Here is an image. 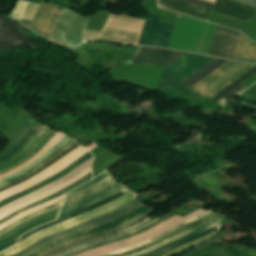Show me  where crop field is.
<instances>
[{"instance_id": "crop-field-1", "label": "crop field", "mask_w": 256, "mask_h": 256, "mask_svg": "<svg viewBox=\"0 0 256 256\" xmlns=\"http://www.w3.org/2000/svg\"><path fill=\"white\" fill-rule=\"evenodd\" d=\"M144 22L143 20L111 14L102 32L85 31L84 42L106 40L138 45Z\"/></svg>"}, {"instance_id": "crop-field-2", "label": "crop field", "mask_w": 256, "mask_h": 256, "mask_svg": "<svg viewBox=\"0 0 256 256\" xmlns=\"http://www.w3.org/2000/svg\"><path fill=\"white\" fill-rule=\"evenodd\" d=\"M254 66L255 64L229 60L190 90L210 99Z\"/></svg>"}, {"instance_id": "crop-field-3", "label": "crop field", "mask_w": 256, "mask_h": 256, "mask_svg": "<svg viewBox=\"0 0 256 256\" xmlns=\"http://www.w3.org/2000/svg\"><path fill=\"white\" fill-rule=\"evenodd\" d=\"M136 194H133V193H128L120 198H118L117 200L99 208V209H96L94 211H91V212H88L78 218H75L73 220H70V221H67V222H64L62 224H59V225H56V226H53V227H50V228H47L41 232H39L38 234L24 240L23 242L3 251L0 253V256H11L17 252H19L20 250L24 249L25 247L41 240L42 238L50 235V234H53L55 232H58V231H61V230H64L68 227H71L73 225H76V224H79L81 222H84V221H87V220H90L92 218H95L97 216H100V215H103V214H106L114 209H117L121 206H123V204L133 200L136 198Z\"/></svg>"}, {"instance_id": "crop-field-4", "label": "crop field", "mask_w": 256, "mask_h": 256, "mask_svg": "<svg viewBox=\"0 0 256 256\" xmlns=\"http://www.w3.org/2000/svg\"><path fill=\"white\" fill-rule=\"evenodd\" d=\"M142 207V205L138 202V200H134L132 202H130L129 204H126L124 207H121L117 210H114L106 215L97 217L95 219H92L88 222L85 223H81L79 225L73 226L71 228H68L60 233L57 234H53L39 242H37L36 244L20 251L18 254L14 255V256H28L32 253H34L35 251H37L38 249L46 246L49 243H52L56 240L65 238L67 236H70L74 233H78L80 231L89 229V228H93V227H97L100 226L102 224H105L109 221L115 220V219H119L127 214H129L130 212L138 209Z\"/></svg>"}, {"instance_id": "crop-field-5", "label": "crop field", "mask_w": 256, "mask_h": 256, "mask_svg": "<svg viewBox=\"0 0 256 256\" xmlns=\"http://www.w3.org/2000/svg\"><path fill=\"white\" fill-rule=\"evenodd\" d=\"M92 160H93V158L90 159L88 162H86L81 167L74 170L68 176L62 178L61 180L56 181V182L50 184L49 186H47L35 193L23 198V199L17 200L15 202L11 203L10 205L0 209V219L18 209H20V208L26 207L42 198H45L61 189L73 184L74 182L80 180L85 175H87L89 172H91Z\"/></svg>"}, {"instance_id": "crop-field-6", "label": "crop field", "mask_w": 256, "mask_h": 256, "mask_svg": "<svg viewBox=\"0 0 256 256\" xmlns=\"http://www.w3.org/2000/svg\"><path fill=\"white\" fill-rule=\"evenodd\" d=\"M87 19L88 18L79 16L66 9L52 36V39H55L73 46L81 43L82 36H83V29L85 27ZM52 39L51 41L53 42L59 43L69 48H74L70 45H67Z\"/></svg>"}, {"instance_id": "crop-field-7", "label": "crop field", "mask_w": 256, "mask_h": 256, "mask_svg": "<svg viewBox=\"0 0 256 256\" xmlns=\"http://www.w3.org/2000/svg\"><path fill=\"white\" fill-rule=\"evenodd\" d=\"M206 210H203V209H200L184 218L180 217L179 215L162 223L161 225L155 227L154 229L146 232V233H143L135 238H132V239H129V240H126V241H122V242H119V243H115V244H112V245H108V246H105V247H101V248H98V249H95V250H92V251H89V252H86V253H83V254H80V255H77V256H101V255H104V254H107V253H110L112 251H116V250H122V249H125L129 246H133L135 244H138V243H141V242H144L160 233H162L163 231L169 229V228H172L178 224H181L203 212H205Z\"/></svg>"}, {"instance_id": "crop-field-8", "label": "crop field", "mask_w": 256, "mask_h": 256, "mask_svg": "<svg viewBox=\"0 0 256 256\" xmlns=\"http://www.w3.org/2000/svg\"><path fill=\"white\" fill-rule=\"evenodd\" d=\"M88 151L89 150H87V149H85L81 146L78 147L76 150H74L68 156H66L65 158H63L62 160H60L59 162H57L53 166L47 168L46 170H44L43 172H41L37 176L33 177L29 181L0 193V201L3 200V199L8 198L10 196H13L15 194H18V193L36 185V184H38L39 182L43 181L44 179H46V178H48V177H50L54 174L59 173L65 167H67L68 165H70L71 163L76 161L78 158H80L81 156L86 154Z\"/></svg>"}, {"instance_id": "crop-field-9", "label": "crop field", "mask_w": 256, "mask_h": 256, "mask_svg": "<svg viewBox=\"0 0 256 256\" xmlns=\"http://www.w3.org/2000/svg\"><path fill=\"white\" fill-rule=\"evenodd\" d=\"M64 8L42 1L29 28L50 39Z\"/></svg>"}, {"instance_id": "crop-field-10", "label": "crop field", "mask_w": 256, "mask_h": 256, "mask_svg": "<svg viewBox=\"0 0 256 256\" xmlns=\"http://www.w3.org/2000/svg\"><path fill=\"white\" fill-rule=\"evenodd\" d=\"M173 27L172 25L159 23V17L150 14L145 22L139 45L167 48Z\"/></svg>"}, {"instance_id": "crop-field-11", "label": "crop field", "mask_w": 256, "mask_h": 256, "mask_svg": "<svg viewBox=\"0 0 256 256\" xmlns=\"http://www.w3.org/2000/svg\"><path fill=\"white\" fill-rule=\"evenodd\" d=\"M241 33L217 27L209 55L233 59Z\"/></svg>"}, {"instance_id": "crop-field-12", "label": "crop field", "mask_w": 256, "mask_h": 256, "mask_svg": "<svg viewBox=\"0 0 256 256\" xmlns=\"http://www.w3.org/2000/svg\"><path fill=\"white\" fill-rule=\"evenodd\" d=\"M185 54V52L140 47L135 60L132 62L169 67Z\"/></svg>"}, {"instance_id": "crop-field-13", "label": "crop field", "mask_w": 256, "mask_h": 256, "mask_svg": "<svg viewBox=\"0 0 256 256\" xmlns=\"http://www.w3.org/2000/svg\"><path fill=\"white\" fill-rule=\"evenodd\" d=\"M212 59L213 57L188 53L165 71L180 83Z\"/></svg>"}, {"instance_id": "crop-field-14", "label": "crop field", "mask_w": 256, "mask_h": 256, "mask_svg": "<svg viewBox=\"0 0 256 256\" xmlns=\"http://www.w3.org/2000/svg\"><path fill=\"white\" fill-rule=\"evenodd\" d=\"M151 209H146V208H141L129 215H127L126 217L122 218V219H119V220H116V221H112V222H109L105 225H102L98 228H93V229H89L85 232H82V233H78V234H75L73 236H70L66 239H63L61 241H58V242H55V243H52L44 248H42L41 250H39L38 252L32 254L31 256H41L42 254L60 246V245H63L65 243H68V242H71V241H74V240H77V239H80V238H83V237H86V236H89V235H92V234H95V233H98V232H101V231H104V230H108V229H111V228H115V227H118L122 224H125L137 217H139L140 215L150 211Z\"/></svg>"}, {"instance_id": "crop-field-15", "label": "crop field", "mask_w": 256, "mask_h": 256, "mask_svg": "<svg viewBox=\"0 0 256 256\" xmlns=\"http://www.w3.org/2000/svg\"><path fill=\"white\" fill-rule=\"evenodd\" d=\"M186 1H190L193 3H197L200 5H204L207 7H213V3H209L203 0H186ZM183 0H159V6L163 7V8H167L173 11H177L183 14H187L190 16H194L200 19H204L206 20L211 8H207L204 6H200L197 4H193L190 2H186Z\"/></svg>"}, {"instance_id": "crop-field-16", "label": "crop field", "mask_w": 256, "mask_h": 256, "mask_svg": "<svg viewBox=\"0 0 256 256\" xmlns=\"http://www.w3.org/2000/svg\"><path fill=\"white\" fill-rule=\"evenodd\" d=\"M155 211H150L142 216H140L139 218L125 224V225H122L118 228H115V229H111V230H108V231H105V232H101V233H98V234H95V235H92V236H89V237H86V238H83V239H80V240H77V241H74V242H71V243H68L66 245H63V246H60L48 253H46L45 255L43 256H53L57 253H60V252H64L66 250H69L73 247H76L78 245H81L83 243H86V242H91L93 240H96V239H99V238H103V237H106V236H109V235H113V234H116V233H120V232H123L125 230H128L134 226H137L147 220H149L150 218L147 216L151 213H153Z\"/></svg>"}, {"instance_id": "crop-field-17", "label": "crop field", "mask_w": 256, "mask_h": 256, "mask_svg": "<svg viewBox=\"0 0 256 256\" xmlns=\"http://www.w3.org/2000/svg\"><path fill=\"white\" fill-rule=\"evenodd\" d=\"M50 132L51 130L40 125V127L36 130V132L31 136V138L18 153H16L14 156L7 159L6 161L0 163V171L17 164L24 157L28 156L48 136Z\"/></svg>"}, {"instance_id": "crop-field-18", "label": "crop field", "mask_w": 256, "mask_h": 256, "mask_svg": "<svg viewBox=\"0 0 256 256\" xmlns=\"http://www.w3.org/2000/svg\"><path fill=\"white\" fill-rule=\"evenodd\" d=\"M256 9L229 0H217L213 11L250 22Z\"/></svg>"}, {"instance_id": "crop-field-19", "label": "crop field", "mask_w": 256, "mask_h": 256, "mask_svg": "<svg viewBox=\"0 0 256 256\" xmlns=\"http://www.w3.org/2000/svg\"><path fill=\"white\" fill-rule=\"evenodd\" d=\"M92 157H93V156H92L91 152L87 153L85 156H83L81 159H79V160H78L77 162H75L74 164L68 166L66 169H64L63 171H61L59 174L54 175V176H52V177H50V178L44 180V181L41 182L40 184L36 185L35 187H33V188H31V189H29V190L23 192V193H20V194H18V195H15V196H13V197H11V198H9V199H6V200L0 202V208L4 207L5 205H7V204H9V203H11V202H13V201L16 200V199H19V198H22V197H24V196H26V195H29V194H31V193H33V192H35V191H37V190H39V189H41V188L47 186V185H49L50 183H52V182H54V181H56V180H58V179H60V178H62V177H64V176L68 175V174H69L70 172H72L75 168H77L78 166L84 164L88 159H90V158H92Z\"/></svg>"}, {"instance_id": "crop-field-20", "label": "crop field", "mask_w": 256, "mask_h": 256, "mask_svg": "<svg viewBox=\"0 0 256 256\" xmlns=\"http://www.w3.org/2000/svg\"><path fill=\"white\" fill-rule=\"evenodd\" d=\"M126 188H124L122 185L120 184H115L111 187H109L108 189H106L105 191H103L102 193L88 199V200H84L76 205H73L69 208H66L64 210H62V212L60 213L59 215V218H62V217H65V216H68L70 214H73V213H76L78 211H81L83 209H86L98 202H101L109 197H111L112 195L124 190Z\"/></svg>"}, {"instance_id": "crop-field-21", "label": "crop field", "mask_w": 256, "mask_h": 256, "mask_svg": "<svg viewBox=\"0 0 256 256\" xmlns=\"http://www.w3.org/2000/svg\"><path fill=\"white\" fill-rule=\"evenodd\" d=\"M256 74V66L251 69L249 72L244 74L242 77H240L238 80H236L234 83L229 85L227 88H225L223 91L218 93L216 96H214L211 100L223 105L227 103L228 101L235 98L237 95H239L241 92H243L245 87L241 86L240 84L246 81L248 78Z\"/></svg>"}, {"instance_id": "crop-field-22", "label": "crop field", "mask_w": 256, "mask_h": 256, "mask_svg": "<svg viewBox=\"0 0 256 256\" xmlns=\"http://www.w3.org/2000/svg\"><path fill=\"white\" fill-rule=\"evenodd\" d=\"M221 221H222V217L217 219V220H215V221H213V222H211V223H208V224H206V225H204V226H202V227H200V228H198L196 230H193L191 232L183 234V235H181V236H179V237H177V238H175V239H173V240L163 244L162 246H160V247H158V248H156L154 250H151L149 252H146V253L138 255V256H152V255H155V254H157V253H159V252H161V251H163V250H165V249H167V248H169V247H171V246H173V245H175V244H177L179 242H182V241H184V240H186L188 238H191V237H193L195 235H198L200 233H203L205 231H208L210 229H213L215 227L220 226L221 225Z\"/></svg>"}, {"instance_id": "crop-field-23", "label": "crop field", "mask_w": 256, "mask_h": 256, "mask_svg": "<svg viewBox=\"0 0 256 256\" xmlns=\"http://www.w3.org/2000/svg\"><path fill=\"white\" fill-rule=\"evenodd\" d=\"M59 211L57 212H54V213H51L49 215H46L34 222H31L25 226H23L22 228H20L18 231L14 232L13 234L11 235H7L8 237L0 240V247L20 238L21 236H23L25 233H27L28 231L40 226V225H43L45 223H48L50 221H53V220H56L57 218V214H58Z\"/></svg>"}, {"instance_id": "crop-field-24", "label": "crop field", "mask_w": 256, "mask_h": 256, "mask_svg": "<svg viewBox=\"0 0 256 256\" xmlns=\"http://www.w3.org/2000/svg\"><path fill=\"white\" fill-rule=\"evenodd\" d=\"M226 61V59L215 58L180 84L189 89Z\"/></svg>"}, {"instance_id": "crop-field-25", "label": "crop field", "mask_w": 256, "mask_h": 256, "mask_svg": "<svg viewBox=\"0 0 256 256\" xmlns=\"http://www.w3.org/2000/svg\"><path fill=\"white\" fill-rule=\"evenodd\" d=\"M234 59L256 63V42L241 35Z\"/></svg>"}, {"instance_id": "crop-field-26", "label": "crop field", "mask_w": 256, "mask_h": 256, "mask_svg": "<svg viewBox=\"0 0 256 256\" xmlns=\"http://www.w3.org/2000/svg\"><path fill=\"white\" fill-rule=\"evenodd\" d=\"M91 178H92V173H89L87 176H85L83 179H81L80 181L76 182L75 184H73V185H71V186H69V187H67V188H65V189H63V190L57 192L56 194H54V195H52V196H50V197H47V198H45V199H43V200H41V201H39V202H37V203H35V204H33V205H30V206H28V207H26V208H23V209H21V210H18V211H16V212H14L13 214H11L9 217H7V218H5V219H3V220H0V225L3 224L4 222H6L7 220H9L10 218H12V217H14V216H16V215H19V214L23 213L24 211H26V210H28V209L34 208V207H36V206H39V205H41V204H43V203H46V202H48V201H51V200H53V199H56V198H58V197H60V196H62V195H64V194H66L69 190H71V189H73V188H75V187H77V186H80V185L86 183V182L89 181Z\"/></svg>"}, {"instance_id": "crop-field-27", "label": "crop field", "mask_w": 256, "mask_h": 256, "mask_svg": "<svg viewBox=\"0 0 256 256\" xmlns=\"http://www.w3.org/2000/svg\"><path fill=\"white\" fill-rule=\"evenodd\" d=\"M173 216H175V215H174V214H168V215H166L165 217H163L162 219H160L159 221H157V222H155V223H153V224H151V225H149V226H147V227H145V228H143V229H141V230H139V231H137V232H135V233H133V234H130V235L121 237V238H119V239L110 240V241H107V242L95 244V245H93V246H91V247H88V248H86V249H83V250L74 252V253L69 254V255H67V256H74V255H77V254H80V253H83V252H86V251H89V250H92V249H95V248H98V247H101V246L108 245V244H110V243H114V242H118V241H122V240H125V239L132 238V237H134V236H136V235H139V234H141V233H143V232H145V231H147V230H149V229H151V228H153V227H155V226L161 224L162 222L168 220L169 218H171V217H173Z\"/></svg>"}, {"instance_id": "crop-field-28", "label": "crop field", "mask_w": 256, "mask_h": 256, "mask_svg": "<svg viewBox=\"0 0 256 256\" xmlns=\"http://www.w3.org/2000/svg\"><path fill=\"white\" fill-rule=\"evenodd\" d=\"M211 213H213V212L211 210H209V211H207V212H205V213H203V214H201V215H199V216H197V217H195V218H193V219H191V220H189V221H187V222H185V223H183V224H181V225H179L177 227H174V228H172V229H170V230H168V231H166V232H164V233H162V234H160V235H158V236H156V237H154V238H152V239H150V240H148V241H146L144 243L135 245V246L130 247V248L126 249V250L112 252V253L104 255V256H114V255H117V254H121V253H124V252H128V251L140 248V247H142V246H144V245H146V244H148V243H150V242H152V241H154V240H156V239H158V238H160V237H162V236H164V235H166V234H168V233H170V232H172L174 230H177V229H179L181 227H184V226H186L188 224H191V223H193V222H195V221H197V220H199V219H201V218H203V217H205V216H207V215H209Z\"/></svg>"}, {"instance_id": "crop-field-29", "label": "crop field", "mask_w": 256, "mask_h": 256, "mask_svg": "<svg viewBox=\"0 0 256 256\" xmlns=\"http://www.w3.org/2000/svg\"><path fill=\"white\" fill-rule=\"evenodd\" d=\"M216 216H218V215L216 213H214V214H212V215H210V216H208V217H206L204 219H201V220H199V221H197V222H195V223H193V224H191L189 226H186V227L181 228V229H179V230H177L175 232H172V233H170V234H168V235L158 239L157 241H155V242H153V243H151V244H149V245H147V246H145L143 248H140V249L128 252V253H124V254H121V255H118V256H126V255H130V254H134V253L140 252V251H142L144 249H147V248H149V247H151V246H153V245H155V244H157V243H159V242H161L163 240H166V239H168V238H170L172 236H175V235H177V234H179V233H181L183 231H186V230H188V229H190V228H192V227H194V226H196V225H198L200 223H203V222H205V221H207L209 219H212V218H214Z\"/></svg>"}, {"instance_id": "crop-field-30", "label": "crop field", "mask_w": 256, "mask_h": 256, "mask_svg": "<svg viewBox=\"0 0 256 256\" xmlns=\"http://www.w3.org/2000/svg\"><path fill=\"white\" fill-rule=\"evenodd\" d=\"M158 219H160V218H157V219H150L149 221L145 222L144 224H142V225H140V226H138V227H136V228H134V229H132V230H129V231H127V232H124V233H121V234H117V235H113V236H110V237H107V238H104V239L96 240V241L91 242V243H86V244H84V245L78 246V247H76V248H73V249H71V250H69V251H66V252H64V253L58 254V255H56V256H65V255H67V254H69V253H72V252H74V251L83 249V248L88 247V246H90V245H92V244L99 243V242H103V241L110 240V239H115V238H118V237H121V236L130 234V233H132V232H134V231H137V230H139V229H141V228H143V227H145V226H147V225H149V224H151V223L157 221Z\"/></svg>"}, {"instance_id": "crop-field-31", "label": "crop field", "mask_w": 256, "mask_h": 256, "mask_svg": "<svg viewBox=\"0 0 256 256\" xmlns=\"http://www.w3.org/2000/svg\"><path fill=\"white\" fill-rule=\"evenodd\" d=\"M78 146H80V145H78L77 143L74 144L73 146H71L70 148H68L66 151H64L61 155L59 154L60 156L56 157L55 159H53L52 161H50L49 163H47V164L44 165L43 167L39 168L38 170H36L35 172H33L31 175H29V176H27V177H25V178H23V179H21V180L15 182V183H13V184H10V185H8V186H6V187L0 189V192L4 191V190H6V189H9V188H11V187H13V186H15V185H17V184H19V183H22V182H24V181H26V180L32 178L33 176L37 175L38 173H40L41 171H43V170L46 169L47 167L53 165L54 163H56L57 161H59L60 159H62L63 157H65L67 154H69L71 151H73V150H74L75 148H77Z\"/></svg>"}, {"instance_id": "crop-field-32", "label": "crop field", "mask_w": 256, "mask_h": 256, "mask_svg": "<svg viewBox=\"0 0 256 256\" xmlns=\"http://www.w3.org/2000/svg\"><path fill=\"white\" fill-rule=\"evenodd\" d=\"M65 136L63 134H60L58 133L45 147L44 149L38 153L36 156H34L32 159H30L28 162H26L24 165H22L21 167L11 171V172H8L2 176H0V179L6 177V176H9L27 166H29L32 162L36 161L41 155H43L45 152H47L49 149H51L54 145H56L59 141H61Z\"/></svg>"}, {"instance_id": "crop-field-33", "label": "crop field", "mask_w": 256, "mask_h": 256, "mask_svg": "<svg viewBox=\"0 0 256 256\" xmlns=\"http://www.w3.org/2000/svg\"><path fill=\"white\" fill-rule=\"evenodd\" d=\"M32 122H33V119L29 117L26 118L24 123L21 125V127L15 134L11 143L4 150L0 152V157L10 152L19 143V141L22 139V137L24 136V134L26 133L27 129L29 128Z\"/></svg>"}, {"instance_id": "crop-field-34", "label": "crop field", "mask_w": 256, "mask_h": 256, "mask_svg": "<svg viewBox=\"0 0 256 256\" xmlns=\"http://www.w3.org/2000/svg\"><path fill=\"white\" fill-rule=\"evenodd\" d=\"M128 192H129V191L126 189V190L120 192L119 194H117V195H115V196H113V197H111V198H109V199H107V200L101 202L102 204L99 203L100 205H98V204H97L98 206L95 205L96 207H93V208H91V209L88 208L89 210L84 211V212L81 211L82 213L78 212V213H80V214H77V213H76L77 215L73 214V215H75V216L70 215V216H73V217L68 216V217H70V218L65 217V218H68V219H65V218H63V219H65V220L61 219V220H63V221L56 220V221L51 222V223H48V224H46V225L53 224V223H55V222L60 221V222H58V223L53 224V225H56V224H59V223H61V222L70 220V219H72V218H75V217H77V216H79V215H82V214L88 212V211H91V210H93V209L99 208V207H101V206H103V205L109 203L110 201H112V200H114V199H116V198H118V197H120V196H122V195H124V194H126V193H128ZM46 225H43V226H41V227H39V228H37V229H35V230L29 232L28 234H30V233H32V232H34V231H36V230H38V229H40V228L46 226ZM53 225H50V226H53ZM50 226H48V227H50ZM46 228H47V227H46ZM43 229H45V228H43ZM43 229H41V230H43ZM41 230H39V231H41ZM39 231H37V232H39ZM37 232H35V233H37ZM35 233H33V234H35ZM28 234H27V235H28ZM33 234H31V235H29V236H27V235L23 236L22 239L20 240V242L23 241L24 239H26V238L32 236Z\"/></svg>"}, {"instance_id": "crop-field-35", "label": "crop field", "mask_w": 256, "mask_h": 256, "mask_svg": "<svg viewBox=\"0 0 256 256\" xmlns=\"http://www.w3.org/2000/svg\"><path fill=\"white\" fill-rule=\"evenodd\" d=\"M69 141H70V139H68V138L65 137L61 142H59V143H58L56 146H54L51 150H49L47 153H45L43 156H41L36 162L32 163L28 168H25V169H23V170H21V171L15 173V174L9 176V177H6V178L2 179V180L0 181V184L3 183V182H5V181H7V180H9V179H11V178L16 177V176H18V175H20V174H22V173H24V172H26V171H28V170L31 169V168H33L36 164H38L39 162H41V161H43L44 159H46L48 156H50L51 154H53L56 150H58L60 147H62L64 144H66V143L69 142Z\"/></svg>"}, {"instance_id": "crop-field-36", "label": "crop field", "mask_w": 256, "mask_h": 256, "mask_svg": "<svg viewBox=\"0 0 256 256\" xmlns=\"http://www.w3.org/2000/svg\"><path fill=\"white\" fill-rule=\"evenodd\" d=\"M74 143H75V142H73V141L71 140L69 143H67L65 146H63L62 148H60L57 152H55V153H54L53 155H51L49 158H47L46 160H44V161L41 162L40 164L36 165V166H35L33 169H31L30 171L26 172V173L23 174V175H20V176L14 178V179H12V180H10V181L4 183V184H1V185H0V188L4 187V186H6V185H8V184H10V183H13V182H15V181H17V180L23 178L24 176L28 175L29 173L35 171L37 168H39V167L43 166L44 164H46L47 162H49V161H50L51 159H53L56 155H58L59 153H61L62 151H64L65 149H67L68 147H70V146H71L72 144H74Z\"/></svg>"}, {"instance_id": "crop-field-37", "label": "crop field", "mask_w": 256, "mask_h": 256, "mask_svg": "<svg viewBox=\"0 0 256 256\" xmlns=\"http://www.w3.org/2000/svg\"><path fill=\"white\" fill-rule=\"evenodd\" d=\"M40 124L38 123V121L35 119V121L33 122V124L30 126V128L28 129L27 133L25 134V136L23 137L22 141L20 142V144L14 149L12 150L9 154L5 155L4 157L0 158V162L11 157L13 154H15L18 150L21 149V147L26 143V141L30 138V136L34 133V131L38 128Z\"/></svg>"}, {"instance_id": "crop-field-38", "label": "crop field", "mask_w": 256, "mask_h": 256, "mask_svg": "<svg viewBox=\"0 0 256 256\" xmlns=\"http://www.w3.org/2000/svg\"><path fill=\"white\" fill-rule=\"evenodd\" d=\"M64 197H65V195L62 196V197H60V198H58V199H56V200H54V201H51V202H48V203H46V204H43V205H41V206H39V207H36V208H34V209L30 210V211H26L25 213H23V214H21V215H19V216H16V217L10 219L9 221H7L6 223H4L3 225H1V226H0V229H2L3 227H5V226H7V225H9V224H11V223L17 221L18 219H20V218H22V217H24V216H26V215H28V214H30V213H33V212H35V211H37V210H40V209H42V208H44V207H47V206H49V205H52V204H54V203H56V202H58V201L64 199Z\"/></svg>"}, {"instance_id": "crop-field-39", "label": "crop field", "mask_w": 256, "mask_h": 256, "mask_svg": "<svg viewBox=\"0 0 256 256\" xmlns=\"http://www.w3.org/2000/svg\"><path fill=\"white\" fill-rule=\"evenodd\" d=\"M63 201H64V200H62V201H60V202H58V203H56V204H54V205H52V206H49V207H47V208H45V209H42V210H40V211H37V212H35V213H33V214H31V215H29V216H27V217H25V218L19 220V221H17V222H15V223L11 224L10 226H8V227H6L5 229L1 230V231H0V235H1L2 233H4V232L10 230L11 228L17 226L18 224H20V223H22V222H24V221H26V220H28V219H30V218H32V217L38 215V214H41V213H43V212H45V211H48V210H50V209H52V208H54V207H57V206L62 205Z\"/></svg>"}, {"instance_id": "crop-field-40", "label": "crop field", "mask_w": 256, "mask_h": 256, "mask_svg": "<svg viewBox=\"0 0 256 256\" xmlns=\"http://www.w3.org/2000/svg\"><path fill=\"white\" fill-rule=\"evenodd\" d=\"M111 180H113V179L110 176V177H108V178H106V179H104V180L94 184L93 186H91V187H89V188H87V189H85V190H83V191H81V192H79V193H77V194L67 198L66 202L71 201L73 199H76V198H78V197H80V196H82V195H84V194H86V193H88V192H90V191H92V190H94V189L104 185L105 183H107V182H109Z\"/></svg>"}, {"instance_id": "crop-field-41", "label": "crop field", "mask_w": 256, "mask_h": 256, "mask_svg": "<svg viewBox=\"0 0 256 256\" xmlns=\"http://www.w3.org/2000/svg\"><path fill=\"white\" fill-rule=\"evenodd\" d=\"M115 183H117V182H116L115 180H113V181L109 182L108 184H106V185H104V186L98 188L97 190H95V191H93V192H91V193H89V194H87V195H85V196H83V197H81V198H78V199H76V200H73V201H71V202L65 204V205H64V208H66V207H68V206H70V205H72V204H74V203H76V202H79V201H81V200H83V199H87V198H89V197H91V196H93V195H95V194H97V193H99V192L105 190L106 188H108L109 186H111V185H113V184H115ZM64 208H63V209H64Z\"/></svg>"}, {"instance_id": "crop-field-42", "label": "crop field", "mask_w": 256, "mask_h": 256, "mask_svg": "<svg viewBox=\"0 0 256 256\" xmlns=\"http://www.w3.org/2000/svg\"><path fill=\"white\" fill-rule=\"evenodd\" d=\"M163 78L166 79L169 83H171L173 86H175L177 89H179L180 91L184 92L185 94L193 97V98H197L199 97V95L191 92V91H188L187 89H185L183 86H181L180 84H178L175 80H173L169 75H167L166 73H164L163 75ZM170 84V85H171ZM174 87V88H175Z\"/></svg>"}, {"instance_id": "crop-field-43", "label": "crop field", "mask_w": 256, "mask_h": 256, "mask_svg": "<svg viewBox=\"0 0 256 256\" xmlns=\"http://www.w3.org/2000/svg\"><path fill=\"white\" fill-rule=\"evenodd\" d=\"M220 229H221V226L218 227V228H215V229H213V230H210V231H208V232H205V233H203V234H201V235H199V236H196V237H194V238H192V239H189V240H187V241H185V242H183V243H180V244H178V245H176V246H174V247H172V248H170V249H168V250H166V251H164V252H162V253H160V254H158V255H156V256H160V255H162V254H165V253H167V252H169V251H171V250H173V249H175V248H177V247H180V246H182V245H184V244H186V243H188V242H190V241H193V240H195V239H198V238H200V237H203V236H205V235H208V234H210V233H212V232H214V231L220 230Z\"/></svg>"}, {"instance_id": "crop-field-44", "label": "crop field", "mask_w": 256, "mask_h": 256, "mask_svg": "<svg viewBox=\"0 0 256 256\" xmlns=\"http://www.w3.org/2000/svg\"><path fill=\"white\" fill-rule=\"evenodd\" d=\"M38 7L39 6L28 4L22 18L32 20Z\"/></svg>"}, {"instance_id": "crop-field-45", "label": "crop field", "mask_w": 256, "mask_h": 256, "mask_svg": "<svg viewBox=\"0 0 256 256\" xmlns=\"http://www.w3.org/2000/svg\"><path fill=\"white\" fill-rule=\"evenodd\" d=\"M108 176H110V175L105 172L104 174H102L100 177H98L97 179L93 180L92 182H90V183H88V184H86V185H84V186H82V187H80V188H78V189H76V190L70 192V193L68 194V196H70V195H72V194H74V193H76V192H79V191H81V190H83V189H85V188H87V187L93 185L94 183H96V182H98V181H100V180H102V179H104V178H106V177H108ZM68 196H67V197H68Z\"/></svg>"}, {"instance_id": "crop-field-46", "label": "crop field", "mask_w": 256, "mask_h": 256, "mask_svg": "<svg viewBox=\"0 0 256 256\" xmlns=\"http://www.w3.org/2000/svg\"><path fill=\"white\" fill-rule=\"evenodd\" d=\"M219 217H221V216H219ZM219 217H217V218H219ZM217 218H215V219H217ZM215 219H212V220H210V221H208V222H211V221H213V220H215ZM208 222H206V223H208ZM206 223H203V224H201V225H199V226H197V227H195V228H198V227H200V226H202V225H204V224H206ZM195 228H192V229H190V230H193V229H195ZM190 230H188V231H190ZM188 231H186V232H188ZM186 232H184V233H186ZM181 234H183V233H181ZM181 234H179V235H181ZM179 235H177V236H179ZM177 236H175V237H177ZM172 238H174V237H172ZM172 238H170V239H172ZM170 239H168V240H170ZM168 240H166V241H168ZM166 241H164V242H166ZM164 242H162V243H164ZM162 243H160V244H162ZM160 244H158V245H156V246H153V247H151V248H149V249H147V250H144V251H142V252H140V253L131 255V256H135V255L144 253V252H146V251H149V250H151V249H153V248L159 246Z\"/></svg>"}, {"instance_id": "crop-field-47", "label": "crop field", "mask_w": 256, "mask_h": 256, "mask_svg": "<svg viewBox=\"0 0 256 256\" xmlns=\"http://www.w3.org/2000/svg\"><path fill=\"white\" fill-rule=\"evenodd\" d=\"M18 240H19V239H18ZM18 240H16L15 242H13V243H11V244H9V245H7V246L1 248V249H0V252L3 251V250H5V249H7V248H9V247H11V246H13L14 244H16V242H17Z\"/></svg>"}, {"instance_id": "crop-field-48", "label": "crop field", "mask_w": 256, "mask_h": 256, "mask_svg": "<svg viewBox=\"0 0 256 256\" xmlns=\"http://www.w3.org/2000/svg\"><path fill=\"white\" fill-rule=\"evenodd\" d=\"M245 1L250 2V3H253V4L256 5V0H245Z\"/></svg>"}, {"instance_id": "crop-field-49", "label": "crop field", "mask_w": 256, "mask_h": 256, "mask_svg": "<svg viewBox=\"0 0 256 256\" xmlns=\"http://www.w3.org/2000/svg\"><path fill=\"white\" fill-rule=\"evenodd\" d=\"M206 1H209V2H213V3H214L215 0H214V1L206 0Z\"/></svg>"}]
</instances>
